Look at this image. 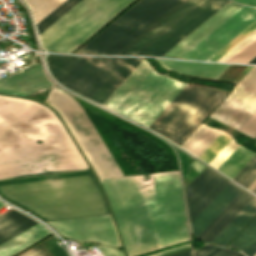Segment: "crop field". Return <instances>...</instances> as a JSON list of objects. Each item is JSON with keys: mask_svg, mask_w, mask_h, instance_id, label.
Listing matches in <instances>:
<instances>
[{"mask_svg": "<svg viewBox=\"0 0 256 256\" xmlns=\"http://www.w3.org/2000/svg\"><path fill=\"white\" fill-rule=\"evenodd\" d=\"M159 247L187 241L186 213L178 171L134 176ZM133 176L100 180L115 212L128 256L158 249Z\"/></svg>", "mask_w": 256, "mask_h": 256, "instance_id": "8a807250", "label": "crop field"}, {"mask_svg": "<svg viewBox=\"0 0 256 256\" xmlns=\"http://www.w3.org/2000/svg\"><path fill=\"white\" fill-rule=\"evenodd\" d=\"M86 168L50 110L25 99L0 96V178Z\"/></svg>", "mask_w": 256, "mask_h": 256, "instance_id": "ac0d7876", "label": "crop field"}, {"mask_svg": "<svg viewBox=\"0 0 256 256\" xmlns=\"http://www.w3.org/2000/svg\"><path fill=\"white\" fill-rule=\"evenodd\" d=\"M0 196L45 221L110 213L90 169L0 180Z\"/></svg>", "mask_w": 256, "mask_h": 256, "instance_id": "34b2d1b8", "label": "crop field"}, {"mask_svg": "<svg viewBox=\"0 0 256 256\" xmlns=\"http://www.w3.org/2000/svg\"><path fill=\"white\" fill-rule=\"evenodd\" d=\"M134 0H82L39 35L46 51L70 53Z\"/></svg>", "mask_w": 256, "mask_h": 256, "instance_id": "412701ff", "label": "crop field"}, {"mask_svg": "<svg viewBox=\"0 0 256 256\" xmlns=\"http://www.w3.org/2000/svg\"><path fill=\"white\" fill-rule=\"evenodd\" d=\"M228 93L187 84L148 128L180 145Z\"/></svg>", "mask_w": 256, "mask_h": 256, "instance_id": "f4fd0767", "label": "crop field"}, {"mask_svg": "<svg viewBox=\"0 0 256 256\" xmlns=\"http://www.w3.org/2000/svg\"><path fill=\"white\" fill-rule=\"evenodd\" d=\"M180 0H140L75 53L115 54Z\"/></svg>", "mask_w": 256, "mask_h": 256, "instance_id": "dd49c442", "label": "crop field"}, {"mask_svg": "<svg viewBox=\"0 0 256 256\" xmlns=\"http://www.w3.org/2000/svg\"><path fill=\"white\" fill-rule=\"evenodd\" d=\"M229 0H190L124 54L162 56Z\"/></svg>", "mask_w": 256, "mask_h": 256, "instance_id": "e52e79f7", "label": "crop field"}, {"mask_svg": "<svg viewBox=\"0 0 256 256\" xmlns=\"http://www.w3.org/2000/svg\"><path fill=\"white\" fill-rule=\"evenodd\" d=\"M46 102L60 113L99 178L123 176L82 107L72 97L53 89Z\"/></svg>", "mask_w": 256, "mask_h": 256, "instance_id": "d8731c3e", "label": "crop field"}, {"mask_svg": "<svg viewBox=\"0 0 256 256\" xmlns=\"http://www.w3.org/2000/svg\"><path fill=\"white\" fill-rule=\"evenodd\" d=\"M185 85L153 70L116 112L149 126Z\"/></svg>", "mask_w": 256, "mask_h": 256, "instance_id": "5a996713", "label": "crop field"}, {"mask_svg": "<svg viewBox=\"0 0 256 256\" xmlns=\"http://www.w3.org/2000/svg\"><path fill=\"white\" fill-rule=\"evenodd\" d=\"M125 59L82 57L59 83L90 98Z\"/></svg>", "mask_w": 256, "mask_h": 256, "instance_id": "3316defc", "label": "crop field"}, {"mask_svg": "<svg viewBox=\"0 0 256 256\" xmlns=\"http://www.w3.org/2000/svg\"><path fill=\"white\" fill-rule=\"evenodd\" d=\"M255 110L256 66H253L210 117L239 129Z\"/></svg>", "mask_w": 256, "mask_h": 256, "instance_id": "28ad6ade", "label": "crop field"}, {"mask_svg": "<svg viewBox=\"0 0 256 256\" xmlns=\"http://www.w3.org/2000/svg\"><path fill=\"white\" fill-rule=\"evenodd\" d=\"M56 231L66 238L83 244L87 241L101 242L120 247V242L110 214L50 221Z\"/></svg>", "mask_w": 256, "mask_h": 256, "instance_id": "d1516ede", "label": "crop field"}, {"mask_svg": "<svg viewBox=\"0 0 256 256\" xmlns=\"http://www.w3.org/2000/svg\"><path fill=\"white\" fill-rule=\"evenodd\" d=\"M254 21H256V9L244 6L182 58L197 60L210 58Z\"/></svg>", "mask_w": 256, "mask_h": 256, "instance_id": "22f410ed", "label": "crop field"}, {"mask_svg": "<svg viewBox=\"0 0 256 256\" xmlns=\"http://www.w3.org/2000/svg\"><path fill=\"white\" fill-rule=\"evenodd\" d=\"M255 214L256 199L253 198L211 243L225 246ZM229 247L241 249L247 256H253L256 253V218Z\"/></svg>", "mask_w": 256, "mask_h": 256, "instance_id": "cbeb9de0", "label": "crop field"}, {"mask_svg": "<svg viewBox=\"0 0 256 256\" xmlns=\"http://www.w3.org/2000/svg\"><path fill=\"white\" fill-rule=\"evenodd\" d=\"M229 182L205 169L186 188L192 221Z\"/></svg>", "mask_w": 256, "mask_h": 256, "instance_id": "5142ce71", "label": "crop field"}, {"mask_svg": "<svg viewBox=\"0 0 256 256\" xmlns=\"http://www.w3.org/2000/svg\"><path fill=\"white\" fill-rule=\"evenodd\" d=\"M241 7L230 1L163 56L181 58Z\"/></svg>", "mask_w": 256, "mask_h": 256, "instance_id": "d9b57169", "label": "crop field"}, {"mask_svg": "<svg viewBox=\"0 0 256 256\" xmlns=\"http://www.w3.org/2000/svg\"><path fill=\"white\" fill-rule=\"evenodd\" d=\"M51 85L40 65L0 80V92L26 96Z\"/></svg>", "mask_w": 256, "mask_h": 256, "instance_id": "733c2abd", "label": "crop field"}, {"mask_svg": "<svg viewBox=\"0 0 256 256\" xmlns=\"http://www.w3.org/2000/svg\"><path fill=\"white\" fill-rule=\"evenodd\" d=\"M252 198L241 190L196 238L211 242Z\"/></svg>", "mask_w": 256, "mask_h": 256, "instance_id": "4a817a6b", "label": "crop field"}, {"mask_svg": "<svg viewBox=\"0 0 256 256\" xmlns=\"http://www.w3.org/2000/svg\"><path fill=\"white\" fill-rule=\"evenodd\" d=\"M157 61L162 67L177 73L212 79H217L229 66L225 64L179 62L163 59H157Z\"/></svg>", "mask_w": 256, "mask_h": 256, "instance_id": "bc2a9ffb", "label": "crop field"}, {"mask_svg": "<svg viewBox=\"0 0 256 256\" xmlns=\"http://www.w3.org/2000/svg\"><path fill=\"white\" fill-rule=\"evenodd\" d=\"M241 189L228 184L211 203L191 222L195 237L229 203ZM235 198V197H234ZM233 198V199H234ZM232 199V200H233ZM231 200V201H232Z\"/></svg>", "mask_w": 256, "mask_h": 256, "instance_id": "214f88e0", "label": "crop field"}, {"mask_svg": "<svg viewBox=\"0 0 256 256\" xmlns=\"http://www.w3.org/2000/svg\"><path fill=\"white\" fill-rule=\"evenodd\" d=\"M152 70L153 69L144 59L124 80V82L109 96L103 105L115 111Z\"/></svg>", "mask_w": 256, "mask_h": 256, "instance_id": "92a150f3", "label": "crop field"}, {"mask_svg": "<svg viewBox=\"0 0 256 256\" xmlns=\"http://www.w3.org/2000/svg\"><path fill=\"white\" fill-rule=\"evenodd\" d=\"M51 234L39 223L0 244V256H11Z\"/></svg>", "mask_w": 256, "mask_h": 256, "instance_id": "dafd665d", "label": "crop field"}, {"mask_svg": "<svg viewBox=\"0 0 256 256\" xmlns=\"http://www.w3.org/2000/svg\"><path fill=\"white\" fill-rule=\"evenodd\" d=\"M142 60V58H127L109 77V79L96 91L91 99L102 104Z\"/></svg>", "mask_w": 256, "mask_h": 256, "instance_id": "00972430", "label": "crop field"}, {"mask_svg": "<svg viewBox=\"0 0 256 256\" xmlns=\"http://www.w3.org/2000/svg\"><path fill=\"white\" fill-rule=\"evenodd\" d=\"M36 223L38 222L15 210L6 214L0 218V243L8 240Z\"/></svg>", "mask_w": 256, "mask_h": 256, "instance_id": "a9b5d70f", "label": "crop field"}, {"mask_svg": "<svg viewBox=\"0 0 256 256\" xmlns=\"http://www.w3.org/2000/svg\"><path fill=\"white\" fill-rule=\"evenodd\" d=\"M220 133L221 131L215 128L201 124L181 147L199 157Z\"/></svg>", "mask_w": 256, "mask_h": 256, "instance_id": "4177f3b9", "label": "crop field"}, {"mask_svg": "<svg viewBox=\"0 0 256 256\" xmlns=\"http://www.w3.org/2000/svg\"><path fill=\"white\" fill-rule=\"evenodd\" d=\"M81 0H66L60 6H58L54 11L42 19L38 24H36L38 33H42L46 28L53 24L57 19L64 15L68 10L75 6Z\"/></svg>", "mask_w": 256, "mask_h": 256, "instance_id": "730fd06b", "label": "crop field"}, {"mask_svg": "<svg viewBox=\"0 0 256 256\" xmlns=\"http://www.w3.org/2000/svg\"><path fill=\"white\" fill-rule=\"evenodd\" d=\"M26 1L32 9L34 18H35V23H37L65 0H26Z\"/></svg>", "mask_w": 256, "mask_h": 256, "instance_id": "eef30255", "label": "crop field"}, {"mask_svg": "<svg viewBox=\"0 0 256 256\" xmlns=\"http://www.w3.org/2000/svg\"><path fill=\"white\" fill-rule=\"evenodd\" d=\"M255 179H256V154L238 172V174L233 178V180L248 188Z\"/></svg>", "mask_w": 256, "mask_h": 256, "instance_id": "ae1a2a85", "label": "crop field"}, {"mask_svg": "<svg viewBox=\"0 0 256 256\" xmlns=\"http://www.w3.org/2000/svg\"><path fill=\"white\" fill-rule=\"evenodd\" d=\"M189 0H182L116 54H123Z\"/></svg>", "mask_w": 256, "mask_h": 256, "instance_id": "d3111659", "label": "crop field"}, {"mask_svg": "<svg viewBox=\"0 0 256 256\" xmlns=\"http://www.w3.org/2000/svg\"><path fill=\"white\" fill-rule=\"evenodd\" d=\"M231 138L232 137L230 135H228L225 132H222L217 137V139L205 150V152L200 156V158L209 163Z\"/></svg>", "mask_w": 256, "mask_h": 256, "instance_id": "750c4746", "label": "crop field"}, {"mask_svg": "<svg viewBox=\"0 0 256 256\" xmlns=\"http://www.w3.org/2000/svg\"><path fill=\"white\" fill-rule=\"evenodd\" d=\"M256 56V38H254L250 43L243 47L239 52L232 56L226 62H240L247 63L253 57Z\"/></svg>", "mask_w": 256, "mask_h": 256, "instance_id": "bd1437ed", "label": "crop field"}, {"mask_svg": "<svg viewBox=\"0 0 256 256\" xmlns=\"http://www.w3.org/2000/svg\"><path fill=\"white\" fill-rule=\"evenodd\" d=\"M237 147H238V145L235 144V142L232 138L227 143V145L209 163V165H211L217 169Z\"/></svg>", "mask_w": 256, "mask_h": 256, "instance_id": "1d83c4d3", "label": "crop field"}, {"mask_svg": "<svg viewBox=\"0 0 256 256\" xmlns=\"http://www.w3.org/2000/svg\"><path fill=\"white\" fill-rule=\"evenodd\" d=\"M72 56L50 55L47 59V66L51 75H55Z\"/></svg>", "mask_w": 256, "mask_h": 256, "instance_id": "120bbe31", "label": "crop field"}, {"mask_svg": "<svg viewBox=\"0 0 256 256\" xmlns=\"http://www.w3.org/2000/svg\"><path fill=\"white\" fill-rule=\"evenodd\" d=\"M254 37H256V30H254L250 35H248L245 39H243L240 43H238L235 47H233L230 51H228L224 56H222L217 61L225 62L237 51H239L243 46L250 42Z\"/></svg>", "mask_w": 256, "mask_h": 256, "instance_id": "d32e631a", "label": "crop field"}, {"mask_svg": "<svg viewBox=\"0 0 256 256\" xmlns=\"http://www.w3.org/2000/svg\"><path fill=\"white\" fill-rule=\"evenodd\" d=\"M255 28H256V23L252 25L250 28H248L245 32H243L240 36H238L235 40H233L229 45H227L224 49H222L218 54H216L209 61H216L217 59H219L223 54H225L228 50H230L234 45H236L239 41H241L245 36H247Z\"/></svg>", "mask_w": 256, "mask_h": 256, "instance_id": "5866460e", "label": "crop field"}, {"mask_svg": "<svg viewBox=\"0 0 256 256\" xmlns=\"http://www.w3.org/2000/svg\"><path fill=\"white\" fill-rule=\"evenodd\" d=\"M244 133L254 137L256 135V112L247 120V122L239 129Z\"/></svg>", "mask_w": 256, "mask_h": 256, "instance_id": "028f5c9d", "label": "crop field"}, {"mask_svg": "<svg viewBox=\"0 0 256 256\" xmlns=\"http://www.w3.org/2000/svg\"><path fill=\"white\" fill-rule=\"evenodd\" d=\"M81 57L73 56L65 65L64 67L54 76V78L59 82L64 75L76 64V62Z\"/></svg>", "mask_w": 256, "mask_h": 256, "instance_id": "e1f06a70", "label": "crop field"}, {"mask_svg": "<svg viewBox=\"0 0 256 256\" xmlns=\"http://www.w3.org/2000/svg\"><path fill=\"white\" fill-rule=\"evenodd\" d=\"M220 249L222 248L206 245L203 248H201L199 251H197L195 256H212L216 252H218Z\"/></svg>", "mask_w": 256, "mask_h": 256, "instance_id": "0bd39190", "label": "crop field"}, {"mask_svg": "<svg viewBox=\"0 0 256 256\" xmlns=\"http://www.w3.org/2000/svg\"><path fill=\"white\" fill-rule=\"evenodd\" d=\"M105 256H124L123 252L108 246H96Z\"/></svg>", "mask_w": 256, "mask_h": 256, "instance_id": "b80d0937", "label": "crop field"}, {"mask_svg": "<svg viewBox=\"0 0 256 256\" xmlns=\"http://www.w3.org/2000/svg\"><path fill=\"white\" fill-rule=\"evenodd\" d=\"M19 256H46L44 252L41 250L39 245L33 246L32 249L26 251L25 253L19 255Z\"/></svg>", "mask_w": 256, "mask_h": 256, "instance_id": "c035e120", "label": "crop field"}, {"mask_svg": "<svg viewBox=\"0 0 256 256\" xmlns=\"http://www.w3.org/2000/svg\"><path fill=\"white\" fill-rule=\"evenodd\" d=\"M238 253H240V252L223 248L218 253H216L214 256H236Z\"/></svg>", "mask_w": 256, "mask_h": 256, "instance_id": "c21b1889", "label": "crop field"}, {"mask_svg": "<svg viewBox=\"0 0 256 256\" xmlns=\"http://www.w3.org/2000/svg\"><path fill=\"white\" fill-rule=\"evenodd\" d=\"M190 245H185V246H181V247H178V248H175V249H171V250H168V251H165V252H162V253H158V254H155V255H152V256H161V255H164V254H168V253H171V252H175V251H178V250H182V249H185V248H189Z\"/></svg>", "mask_w": 256, "mask_h": 256, "instance_id": "03da06ac", "label": "crop field"}, {"mask_svg": "<svg viewBox=\"0 0 256 256\" xmlns=\"http://www.w3.org/2000/svg\"><path fill=\"white\" fill-rule=\"evenodd\" d=\"M252 66H248L234 81L233 83L237 84L240 79L249 71V69L251 68Z\"/></svg>", "mask_w": 256, "mask_h": 256, "instance_id": "b54c1fbb", "label": "crop field"}, {"mask_svg": "<svg viewBox=\"0 0 256 256\" xmlns=\"http://www.w3.org/2000/svg\"><path fill=\"white\" fill-rule=\"evenodd\" d=\"M235 1H238V2H241V3H245V4H249L253 7L256 6V0H235Z\"/></svg>", "mask_w": 256, "mask_h": 256, "instance_id": "5d738f31", "label": "crop field"}, {"mask_svg": "<svg viewBox=\"0 0 256 256\" xmlns=\"http://www.w3.org/2000/svg\"><path fill=\"white\" fill-rule=\"evenodd\" d=\"M172 256H190V250L186 251V252H182V253L176 254V255H172Z\"/></svg>", "mask_w": 256, "mask_h": 256, "instance_id": "d23c7cc5", "label": "crop field"}, {"mask_svg": "<svg viewBox=\"0 0 256 256\" xmlns=\"http://www.w3.org/2000/svg\"><path fill=\"white\" fill-rule=\"evenodd\" d=\"M255 188H256V180L253 182V184L248 189L253 191Z\"/></svg>", "mask_w": 256, "mask_h": 256, "instance_id": "425ffa30", "label": "crop field"}, {"mask_svg": "<svg viewBox=\"0 0 256 256\" xmlns=\"http://www.w3.org/2000/svg\"><path fill=\"white\" fill-rule=\"evenodd\" d=\"M248 63H251V64H256V57L255 58H253L250 62H248Z\"/></svg>", "mask_w": 256, "mask_h": 256, "instance_id": "25e5ab78", "label": "crop field"}, {"mask_svg": "<svg viewBox=\"0 0 256 256\" xmlns=\"http://www.w3.org/2000/svg\"><path fill=\"white\" fill-rule=\"evenodd\" d=\"M5 205L0 202V208L4 207Z\"/></svg>", "mask_w": 256, "mask_h": 256, "instance_id": "73cf0c24", "label": "crop field"}, {"mask_svg": "<svg viewBox=\"0 0 256 256\" xmlns=\"http://www.w3.org/2000/svg\"><path fill=\"white\" fill-rule=\"evenodd\" d=\"M237 256H244V255L240 253V254H238Z\"/></svg>", "mask_w": 256, "mask_h": 256, "instance_id": "89e229c0", "label": "crop field"}, {"mask_svg": "<svg viewBox=\"0 0 256 256\" xmlns=\"http://www.w3.org/2000/svg\"><path fill=\"white\" fill-rule=\"evenodd\" d=\"M253 192H255V193H256V189H255Z\"/></svg>", "mask_w": 256, "mask_h": 256, "instance_id": "1f2cbd36", "label": "crop field"}, {"mask_svg": "<svg viewBox=\"0 0 256 256\" xmlns=\"http://www.w3.org/2000/svg\"><path fill=\"white\" fill-rule=\"evenodd\" d=\"M254 256H256V254Z\"/></svg>", "mask_w": 256, "mask_h": 256, "instance_id": "dbb93151", "label": "crop field"}, {"mask_svg": "<svg viewBox=\"0 0 256 256\" xmlns=\"http://www.w3.org/2000/svg\"><path fill=\"white\" fill-rule=\"evenodd\" d=\"M2 215H0V217H1Z\"/></svg>", "mask_w": 256, "mask_h": 256, "instance_id": "0fb4a251", "label": "crop field"}]
</instances>
